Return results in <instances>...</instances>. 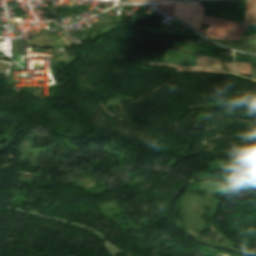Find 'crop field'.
Listing matches in <instances>:
<instances>
[{"label": "crop field", "mask_w": 256, "mask_h": 256, "mask_svg": "<svg viewBox=\"0 0 256 256\" xmlns=\"http://www.w3.org/2000/svg\"><path fill=\"white\" fill-rule=\"evenodd\" d=\"M206 16L218 17L237 22L246 21V0L201 2Z\"/></svg>", "instance_id": "obj_1"}, {"label": "crop field", "mask_w": 256, "mask_h": 256, "mask_svg": "<svg viewBox=\"0 0 256 256\" xmlns=\"http://www.w3.org/2000/svg\"><path fill=\"white\" fill-rule=\"evenodd\" d=\"M201 23L210 25L208 31L205 33V36L219 40L241 39V36L247 26L237 22L205 16H203Z\"/></svg>", "instance_id": "obj_2"}, {"label": "crop field", "mask_w": 256, "mask_h": 256, "mask_svg": "<svg viewBox=\"0 0 256 256\" xmlns=\"http://www.w3.org/2000/svg\"><path fill=\"white\" fill-rule=\"evenodd\" d=\"M203 7L199 2L174 4V16L199 29Z\"/></svg>", "instance_id": "obj_3"}, {"label": "crop field", "mask_w": 256, "mask_h": 256, "mask_svg": "<svg viewBox=\"0 0 256 256\" xmlns=\"http://www.w3.org/2000/svg\"><path fill=\"white\" fill-rule=\"evenodd\" d=\"M235 49L256 54V35L244 36Z\"/></svg>", "instance_id": "obj_4"}, {"label": "crop field", "mask_w": 256, "mask_h": 256, "mask_svg": "<svg viewBox=\"0 0 256 256\" xmlns=\"http://www.w3.org/2000/svg\"><path fill=\"white\" fill-rule=\"evenodd\" d=\"M196 63L222 66L220 61H219V59L212 58V57H206V56H200V55H197ZM200 64H196V66H200V67H213V68L223 69V67L209 66V65H200Z\"/></svg>", "instance_id": "obj_5"}, {"label": "crop field", "mask_w": 256, "mask_h": 256, "mask_svg": "<svg viewBox=\"0 0 256 256\" xmlns=\"http://www.w3.org/2000/svg\"><path fill=\"white\" fill-rule=\"evenodd\" d=\"M247 24L256 25V1L247 0Z\"/></svg>", "instance_id": "obj_6"}, {"label": "crop field", "mask_w": 256, "mask_h": 256, "mask_svg": "<svg viewBox=\"0 0 256 256\" xmlns=\"http://www.w3.org/2000/svg\"><path fill=\"white\" fill-rule=\"evenodd\" d=\"M235 64L239 72L251 74L249 63H235Z\"/></svg>", "instance_id": "obj_7"}, {"label": "crop field", "mask_w": 256, "mask_h": 256, "mask_svg": "<svg viewBox=\"0 0 256 256\" xmlns=\"http://www.w3.org/2000/svg\"><path fill=\"white\" fill-rule=\"evenodd\" d=\"M156 9L164 11L173 16V4L157 5Z\"/></svg>", "instance_id": "obj_8"}, {"label": "crop field", "mask_w": 256, "mask_h": 256, "mask_svg": "<svg viewBox=\"0 0 256 256\" xmlns=\"http://www.w3.org/2000/svg\"><path fill=\"white\" fill-rule=\"evenodd\" d=\"M234 61L235 62H250V64H256V56L245 55V59L235 57Z\"/></svg>", "instance_id": "obj_9"}, {"label": "crop field", "mask_w": 256, "mask_h": 256, "mask_svg": "<svg viewBox=\"0 0 256 256\" xmlns=\"http://www.w3.org/2000/svg\"><path fill=\"white\" fill-rule=\"evenodd\" d=\"M223 64H224V66H225V68L227 70H230V71H233V72H237L236 69L233 66V63H223Z\"/></svg>", "instance_id": "obj_10"}, {"label": "crop field", "mask_w": 256, "mask_h": 256, "mask_svg": "<svg viewBox=\"0 0 256 256\" xmlns=\"http://www.w3.org/2000/svg\"><path fill=\"white\" fill-rule=\"evenodd\" d=\"M131 2H148V1H177V0H128Z\"/></svg>", "instance_id": "obj_11"}]
</instances>
